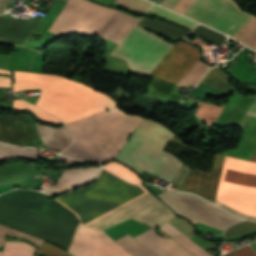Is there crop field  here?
<instances>
[{"label":"crop field","mask_w":256,"mask_h":256,"mask_svg":"<svg viewBox=\"0 0 256 256\" xmlns=\"http://www.w3.org/2000/svg\"><path fill=\"white\" fill-rule=\"evenodd\" d=\"M2 135L16 145H21L20 140L36 139L27 116L23 114L0 115V141L6 142Z\"/></svg>","instance_id":"crop-field-14"},{"label":"crop field","mask_w":256,"mask_h":256,"mask_svg":"<svg viewBox=\"0 0 256 256\" xmlns=\"http://www.w3.org/2000/svg\"><path fill=\"white\" fill-rule=\"evenodd\" d=\"M123 248H125L133 256H154L147 249L137 243L133 238L126 235L115 239Z\"/></svg>","instance_id":"crop-field-23"},{"label":"crop field","mask_w":256,"mask_h":256,"mask_svg":"<svg viewBox=\"0 0 256 256\" xmlns=\"http://www.w3.org/2000/svg\"><path fill=\"white\" fill-rule=\"evenodd\" d=\"M248 115H252L256 117V101L254 102L253 106L249 110Z\"/></svg>","instance_id":"crop-field-41"},{"label":"crop field","mask_w":256,"mask_h":256,"mask_svg":"<svg viewBox=\"0 0 256 256\" xmlns=\"http://www.w3.org/2000/svg\"><path fill=\"white\" fill-rule=\"evenodd\" d=\"M56 161L64 162V163H68V164H87L88 163L85 161L74 160V159L63 157V156H61L60 158L57 157Z\"/></svg>","instance_id":"crop-field-36"},{"label":"crop field","mask_w":256,"mask_h":256,"mask_svg":"<svg viewBox=\"0 0 256 256\" xmlns=\"http://www.w3.org/2000/svg\"><path fill=\"white\" fill-rule=\"evenodd\" d=\"M210 68L198 61L178 85L197 84ZM173 87L174 84L157 79L152 86V88L156 89L152 95L177 101L180 96L169 94Z\"/></svg>","instance_id":"crop-field-17"},{"label":"crop field","mask_w":256,"mask_h":256,"mask_svg":"<svg viewBox=\"0 0 256 256\" xmlns=\"http://www.w3.org/2000/svg\"><path fill=\"white\" fill-rule=\"evenodd\" d=\"M145 191L142 186L103 167L95 185L68 192L54 200L74 212L80 224L89 226ZM130 217L158 229L173 215L146 192L90 227L104 230Z\"/></svg>","instance_id":"crop-field-1"},{"label":"crop field","mask_w":256,"mask_h":256,"mask_svg":"<svg viewBox=\"0 0 256 256\" xmlns=\"http://www.w3.org/2000/svg\"><path fill=\"white\" fill-rule=\"evenodd\" d=\"M41 88L35 105L66 123L119 106L107 95L57 75L15 71L14 91Z\"/></svg>","instance_id":"crop-field-2"},{"label":"crop field","mask_w":256,"mask_h":256,"mask_svg":"<svg viewBox=\"0 0 256 256\" xmlns=\"http://www.w3.org/2000/svg\"><path fill=\"white\" fill-rule=\"evenodd\" d=\"M250 160L256 161V151L254 152V154L252 155V157L250 158Z\"/></svg>","instance_id":"crop-field-42"},{"label":"crop field","mask_w":256,"mask_h":256,"mask_svg":"<svg viewBox=\"0 0 256 256\" xmlns=\"http://www.w3.org/2000/svg\"><path fill=\"white\" fill-rule=\"evenodd\" d=\"M149 11L152 12V13H155L157 15H160V16H162L164 18H167L169 20H172V21H174V22H176L178 24H181V25H183V26H185V27H187V28H189L191 30L197 25L196 23H194V22H192L190 20H187V19H185V18H183L181 16H178V15H176L174 13H171V12H169V11H167L165 9H162V8H160V7H158V6L154 5V4L152 5V7L150 8Z\"/></svg>","instance_id":"crop-field-27"},{"label":"crop field","mask_w":256,"mask_h":256,"mask_svg":"<svg viewBox=\"0 0 256 256\" xmlns=\"http://www.w3.org/2000/svg\"><path fill=\"white\" fill-rule=\"evenodd\" d=\"M230 78L224 72L218 69H212L206 77L200 82V84L229 96L235 87L227 83V79Z\"/></svg>","instance_id":"crop-field-20"},{"label":"crop field","mask_w":256,"mask_h":256,"mask_svg":"<svg viewBox=\"0 0 256 256\" xmlns=\"http://www.w3.org/2000/svg\"><path fill=\"white\" fill-rule=\"evenodd\" d=\"M9 0H0V14L4 12V9L7 5Z\"/></svg>","instance_id":"crop-field-40"},{"label":"crop field","mask_w":256,"mask_h":256,"mask_svg":"<svg viewBox=\"0 0 256 256\" xmlns=\"http://www.w3.org/2000/svg\"><path fill=\"white\" fill-rule=\"evenodd\" d=\"M216 198L240 211L256 215V163L226 156ZM218 199L216 204L230 212L256 220V216L242 213Z\"/></svg>","instance_id":"crop-field-6"},{"label":"crop field","mask_w":256,"mask_h":256,"mask_svg":"<svg viewBox=\"0 0 256 256\" xmlns=\"http://www.w3.org/2000/svg\"><path fill=\"white\" fill-rule=\"evenodd\" d=\"M151 1L156 2V3L159 4L162 0H151Z\"/></svg>","instance_id":"crop-field-44"},{"label":"crop field","mask_w":256,"mask_h":256,"mask_svg":"<svg viewBox=\"0 0 256 256\" xmlns=\"http://www.w3.org/2000/svg\"><path fill=\"white\" fill-rule=\"evenodd\" d=\"M2 255V252H0V256Z\"/></svg>","instance_id":"crop-field-45"},{"label":"crop field","mask_w":256,"mask_h":256,"mask_svg":"<svg viewBox=\"0 0 256 256\" xmlns=\"http://www.w3.org/2000/svg\"><path fill=\"white\" fill-rule=\"evenodd\" d=\"M68 251L74 256H132L103 231L80 225Z\"/></svg>","instance_id":"crop-field-11"},{"label":"crop field","mask_w":256,"mask_h":256,"mask_svg":"<svg viewBox=\"0 0 256 256\" xmlns=\"http://www.w3.org/2000/svg\"><path fill=\"white\" fill-rule=\"evenodd\" d=\"M115 3L122 5L126 8H129L135 12H138L142 15L146 12L150 3L144 0H116Z\"/></svg>","instance_id":"crop-field-29"},{"label":"crop field","mask_w":256,"mask_h":256,"mask_svg":"<svg viewBox=\"0 0 256 256\" xmlns=\"http://www.w3.org/2000/svg\"><path fill=\"white\" fill-rule=\"evenodd\" d=\"M134 238L142 243L156 256H193L172 239L155 235V232L152 229Z\"/></svg>","instance_id":"crop-field-15"},{"label":"crop field","mask_w":256,"mask_h":256,"mask_svg":"<svg viewBox=\"0 0 256 256\" xmlns=\"http://www.w3.org/2000/svg\"><path fill=\"white\" fill-rule=\"evenodd\" d=\"M65 253H67L69 256H72L67 251H65L61 248H58L54 245H51L49 243H46L44 241L42 242L40 249L38 251V254H42V255H46V256H62Z\"/></svg>","instance_id":"crop-field-30"},{"label":"crop field","mask_w":256,"mask_h":256,"mask_svg":"<svg viewBox=\"0 0 256 256\" xmlns=\"http://www.w3.org/2000/svg\"><path fill=\"white\" fill-rule=\"evenodd\" d=\"M180 0H166L162 5L172 9Z\"/></svg>","instance_id":"crop-field-38"},{"label":"crop field","mask_w":256,"mask_h":256,"mask_svg":"<svg viewBox=\"0 0 256 256\" xmlns=\"http://www.w3.org/2000/svg\"><path fill=\"white\" fill-rule=\"evenodd\" d=\"M33 250L24 242H6L4 256H32Z\"/></svg>","instance_id":"crop-field-26"},{"label":"crop field","mask_w":256,"mask_h":256,"mask_svg":"<svg viewBox=\"0 0 256 256\" xmlns=\"http://www.w3.org/2000/svg\"><path fill=\"white\" fill-rule=\"evenodd\" d=\"M223 256H247V255L239 248Z\"/></svg>","instance_id":"crop-field-37"},{"label":"crop field","mask_w":256,"mask_h":256,"mask_svg":"<svg viewBox=\"0 0 256 256\" xmlns=\"http://www.w3.org/2000/svg\"><path fill=\"white\" fill-rule=\"evenodd\" d=\"M171 134L162 126L144 119L116 160L138 171L139 174L143 170L148 172L162 155ZM181 164L174 156L164 152L149 172L171 182Z\"/></svg>","instance_id":"crop-field-4"},{"label":"crop field","mask_w":256,"mask_h":256,"mask_svg":"<svg viewBox=\"0 0 256 256\" xmlns=\"http://www.w3.org/2000/svg\"><path fill=\"white\" fill-rule=\"evenodd\" d=\"M256 230V223L255 222H249V221H243L239 224H236L232 227H230L224 234V237H233V236H239L241 234L251 232Z\"/></svg>","instance_id":"crop-field-28"},{"label":"crop field","mask_w":256,"mask_h":256,"mask_svg":"<svg viewBox=\"0 0 256 256\" xmlns=\"http://www.w3.org/2000/svg\"><path fill=\"white\" fill-rule=\"evenodd\" d=\"M138 26L168 34L178 40L189 33L174 25L146 18ZM172 46L163 38L135 26L111 56L126 60L131 71L149 74Z\"/></svg>","instance_id":"crop-field-5"},{"label":"crop field","mask_w":256,"mask_h":256,"mask_svg":"<svg viewBox=\"0 0 256 256\" xmlns=\"http://www.w3.org/2000/svg\"><path fill=\"white\" fill-rule=\"evenodd\" d=\"M143 117L123 113L118 107L69 123L73 134V145L100 155L109 160L115 159L127 137L141 123ZM71 145L62 154L100 162L107 161L100 156Z\"/></svg>","instance_id":"crop-field-3"},{"label":"crop field","mask_w":256,"mask_h":256,"mask_svg":"<svg viewBox=\"0 0 256 256\" xmlns=\"http://www.w3.org/2000/svg\"><path fill=\"white\" fill-rule=\"evenodd\" d=\"M0 224L55 242L68 250L78 220L76 216L47 215L17 209L0 198Z\"/></svg>","instance_id":"crop-field-7"},{"label":"crop field","mask_w":256,"mask_h":256,"mask_svg":"<svg viewBox=\"0 0 256 256\" xmlns=\"http://www.w3.org/2000/svg\"><path fill=\"white\" fill-rule=\"evenodd\" d=\"M13 109H25L31 111L33 114H35L37 117H39L41 120L50 122V123H59L61 122L51 114L23 101V100H14Z\"/></svg>","instance_id":"crop-field-25"},{"label":"crop field","mask_w":256,"mask_h":256,"mask_svg":"<svg viewBox=\"0 0 256 256\" xmlns=\"http://www.w3.org/2000/svg\"><path fill=\"white\" fill-rule=\"evenodd\" d=\"M100 167L65 169L57 184L48 187L46 193H57L65 189L91 182Z\"/></svg>","instance_id":"crop-field-16"},{"label":"crop field","mask_w":256,"mask_h":256,"mask_svg":"<svg viewBox=\"0 0 256 256\" xmlns=\"http://www.w3.org/2000/svg\"><path fill=\"white\" fill-rule=\"evenodd\" d=\"M163 231H165L168 235H171L175 240H177L182 246H184L186 249H188L190 252H192L196 256H211L201 248H199L197 245H195L193 242H191L188 238H186L184 235H182L180 232H178L175 228H173L169 224H164L162 227H160Z\"/></svg>","instance_id":"crop-field-22"},{"label":"crop field","mask_w":256,"mask_h":256,"mask_svg":"<svg viewBox=\"0 0 256 256\" xmlns=\"http://www.w3.org/2000/svg\"><path fill=\"white\" fill-rule=\"evenodd\" d=\"M234 38L256 49V18L253 17Z\"/></svg>","instance_id":"crop-field-24"},{"label":"crop field","mask_w":256,"mask_h":256,"mask_svg":"<svg viewBox=\"0 0 256 256\" xmlns=\"http://www.w3.org/2000/svg\"><path fill=\"white\" fill-rule=\"evenodd\" d=\"M0 73H7V74H11V72L9 71H3V70H0ZM0 87H12L11 86V78H8V77H0Z\"/></svg>","instance_id":"crop-field-35"},{"label":"crop field","mask_w":256,"mask_h":256,"mask_svg":"<svg viewBox=\"0 0 256 256\" xmlns=\"http://www.w3.org/2000/svg\"><path fill=\"white\" fill-rule=\"evenodd\" d=\"M238 8L232 0H197L184 15L233 36L251 17Z\"/></svg>","instance_id":"crop-field-10"},{"label":"crop field","mask_w":256,"mask_h":256,"mask_svg":"<svg viewBox=\"0 0 256 256\" xmlns=\"http://www.w3.org/2000/svg\"><path fill=\"white\" fill-rule=\"evenodd\" d=\"M200 34H202L203 36L211 39V40H215L218 41L219 43H223L226 39V37L218 32H215L211 29H208L202 25H198V27L194 30Z\"/></svg>","instance_id":"crop-field-32"},{"label":"crop field","mask_w":256,"mask_h":256,"mask_svg":"<svg viewBox=\"0 0 256 256\" xmlns=\"http://www.w3.org/2000/svg\"><path fill=\"white\" fill-rule=\"evenodd\" d=\"M116 12L87 0H68L49 31L59 35L68 32L97 35Z\"/></svg>","instance_id":"crop-field-8"},{"label":"crop field","mask_w":256,"mask_h":256,"mask_svg":"<svg viewBox=\"0 0 256 256\" xmlns=\"http://www.w3.org/2000/svg\"><path fill=\"white\" fill-rule=\"evenodd\" d=\"M104 166L116 171L117 173H119L131 180L142 182V180H140L136 174H134L131 170L124 167L120 163L111 162L109 164H105Z\"/></svg>","instance_id":"crop-field-31"},{"label":"crop field","mask_w":256,"mask_h":256,"mask_svg":"<svg viewBox=\"0 0 256 256\" xmlns=\"http://www.w3.org/2000/svg\"><path fill=\"white\" fill-rule=\"evenodd\" d=\"M36 126L41 139L48 147L55 149L59 148L63 150L72 141V137L68 133L65 126L56 129L47 125L39 124L37 122Z\"/></svg>","instance_id":"crop-field-19"},{"label":"crop field","mask_w":256,"mask_h":256,"mask_svg":"<svg viewBox=\"0 0 256 256\" xmlns=\"http://www.w3.org/2000/svg\"><path fill=\"white\" fill-rule=\"evenodd\" d=\"M4 233H8V234L15 235L18 237L24 236V237L28 238L29 240H31L32 242L36 243L37 245H40V243H41V240H39L35 237L25 235V234H22V233H19V232H16V231H13L8 228L0 226V246L3 244V241H4Z\"/></svg>","instance_id":"crop-field-33"},{"label":"crop field","mask_w":256,"mask_h":256,"mask_svg":"<svg viewBox=\"0 0 256 256\" xmlns=\"http://www.w3.org/2000/svg\"><path fill=\"white\" fill-rule=\"evenodd\" d=\"M251 246H252L253 249L256 251V242L252 243Z\"/></svg>","instance_id":"crop-field-43"},{"label":"crop field","mask_w":256,"mask_h":256,"mask_svg":"<svg viewBox=\"0 0 256 256\" xmlns=\"http://www.w3.org/2000/svg\"><path fill=\"white\" fill-rule=\"evenodd\" d=\"M122 13V12H121ZM117 12L98 36L119 44L139 18L127 16Z\"/></svg>","instance_id":"crop-field-18"},{"label":"crop field","mask_w":256,"mask_h":256,"mask_svg":"<svg viewBox=\"0 0 256 256\" xmlns=\"http://www.w3.org/2000/svg\"><path fill=\"white\" fill-rule=\"evenodd\" d=\"M40 150L15 147L0 143V160L10 159V158H21V159H38Z\"/></svg>","instance_id":"crop-field-21"},{"label":"crop field","mask_w":256,"mask_h":256,"mask_svg":"<svg viewBox=\"0 0 256 256\" xmlns=\"http://www.w3.org/2000/svg\"><path fill=\"white\" fill-rule=\"evenodd\" d=\"M40 191H44V189H43V190H40Z\"/></svg>","instance_id":"crop-field-46"},{"label":"crop field","mask_w":256,"mask_h":256,"mask_svg":"<svg viewBox=\"0 0 256 256\" xmlns=\"http://www.w3.org/2000/svg\"><path fill=\"white\" fill-rule=\"evenodd\" d=\"M157 196L172 207L177 214L188 218L195 224L199 221L225 230L228 226L242 220L191 194L164 191Z\"/></svg>","instance_id":"crop-field-9"},{"label":"crop field","mask_w":256,"mask_h":256,"mask_svg":"<svg viewBox=\"0 0 256 256\" xmlns=\"http://www.w3.org/2000/svg\"><path fill=\"white\" fill-rule=\"evenodd\" d=\"M199 59L197 48L179 42L149 76L178 84Z\"/></svg>","instance_id":"crop-field-12"},{"label":"crop field","mask_w":256,"mask_h":256,"mask_svg":"<svg viewBox=\"0 0 256 256\" xmlns=\"http://www.w3.org/2000/svg\"><path fill=\"white\" fill-rule=\"evenodd\" d=\"M224 158L225 156L223 155L215 156L210 173L193 169L180 190L199 194L214 202Z\"/></svg>","instance_id":"crop-field-13"},{"label":"crop field","mask_w":256,"mask_h":256,"mask_svg":"<svg viewBox=\"0 0 256 256\" xmlns=\"http://www.w3.org/2000/svg\"><path fill=\"white\" fill-rule=\"evenodd\" d=\"M195 0H181L172 10L183 14Z\"/></svg>","instance_id":"crop-field-34"},{"label":"crop field","mask_w":256,"mask_h":256,"mask_svg":"<svg viewBox=\"0 0 256 256\" xmlns=\"http://www.w3.org/2000/svg\"><path fill=\"white\" fill-rule=\"evenodd\" d=\"M241 249L248 255V256H256V254L252 251L250 246L246 245L241 247Z\"/></svg>","instance_id":"crop-field-39"}]
</instances>
